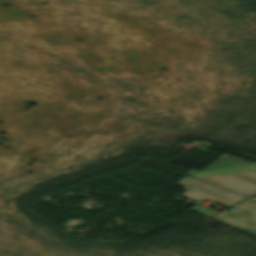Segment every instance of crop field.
<instances>
[{
    "label": "crop field",
    "instance_id": "crop-field-4",
    "mask_svg": "<svg viewBox=\"0 0 256 256\" xmlns=\"http://www.w3.org/2000/svg\"><path fill=\"white\" fill-rule=\"evenodd\" d=\"M190 210H193V211H195V212L204 214V215L209 216V217H212V216L218 214V213H216V212L210 211V210L205 209V208H202V207H200V206H196V207H194V208H192V209H190Z\"/></svg>",
    "mask_w": 256,
    "mask_h": 256
},
{
    "label": "crop field",
    "instance_id": "crop-field-3",
    "mask_svg": "<svg viewBox=\"0 0 256 256\" xmlns=\"http://www.w3.org/2000/svg\"><path fill=\"white\" fill-rule=\"evenodd\" d=\"M236 208L233 213L226 211L213 218L256 236V201L250 200Z\"/></svg>",
    "mask_w": 256,
    "mask_h": 256
},
{
    "label": "crop field",
    "instance_id": "crop-field-1",
    "mask_svg": "<svg viewBox=\"0 0 256 256\" xmlns=\"http://www.w3.org/2000/svg\"><path fill=\"white\" fill-rule=\"evenodd\" d=\"M187 175L248 197L256 194V162L224 155L204 171Z\"/></svg>",
    "mask_w": 256,
    "mask_h": 256
},
{
    "label": "crop field",
    "instance_id": "crop-field-2",
    "mask_svg": "<svg viewBox=\"0 0 256 256\" xmlns=\"http://www.w3.org/2000/svg\"><path fill=\"white\" fill-rule=\"evenodd\" d=\"M177 184L187 190L182 196L200 202L204 199L219 202L226 206H232L240 201L248 199L228 190L204 183L194 177L183 178Z\"/></svg>",
    "mask_w": 256,
    "mask_h": 256
}]
</instances>
